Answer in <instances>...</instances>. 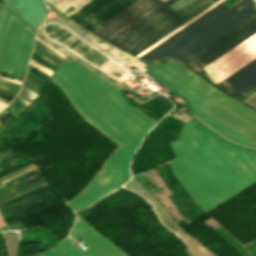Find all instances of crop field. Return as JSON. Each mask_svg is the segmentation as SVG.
<instances>
[{
  "label": "crop field",
  "instance_id": "1",
  "mask_svg": "<svg viewBox=\"0 0 256 256\" xmlns=\"http://www.w3.org/2000/svg\"><path fill=\"white\" fill-rule=\"evenodd\" d=\"M51 81L86 121L119 146L89 184L65 202L74 212H79L130 179L129 161L156 122L127 103L116 87L68 56Z\"/></svg>",
  "mask_w": 256,
  "mask_h": 256
},
{
  "label": "crop field",
  "instance_id": "2",
  "mask_svg": "<svg viewBox=\"0 0 256 256\" xmlns=\"http://www.w3.org/2000/svg\"><path fill=\"white\" fill-rule=\"evenodd\" d=\"M171 169L206 213L256 181V150L230 142L197 120L171 143Z\"/></svg>",
  "mask_w": 256,
  "mask_h": 256
},
{
  "label": "crop field",
  "instance_id": "3",
  "mask_svg": "<svg viewBox=\"0 0 256 256\" xmlns=\"http://www.w3.org/2000/svg\"><path fill=\"white\" fill-rule=\"evenodd\" d=\"M146 67L184 98L190 112L208 126L240 144L256 147L255 111L213 88L171 59L163 66L155 60Z\"/></svg>",
  "mask_w": 256,
  "mask_h": 256
},
{
  "label": "crop field",
  "instance_id": "4",
  "mask_svg": "<svg viewBox=\"0 0 256 256\" xmlns=\"http://www.w3.org/2000/svg\"><path fill=\"white\" fill-rule=\"evenodd\" d=\"M255 12L252 0H243L229 10L219 4L139 58L172 55L183 61Z\"/></svg>",
  "mask_w": 256,
  "mask_h": 256
},
{
  "label": "crop field",
  "instance_id": "5",
  "mask_svg": "<svg viewBox=\"0 0 256 256\" xmlns=\"http://www.w3.org/2000/svg\"><path fill=\"white\" fill-rule=\"evenodd\" d=\"M34 28V27H33ZM27 22L0 5V72L20 80L36 32Z\"/></svg>",
  "mask_w": 256,
  "mask_h": 256
},
{
  "label": "crop field",
  "instance_id": "6",
  "mask_svg": "<svg viewBox=\"0 0 256 256\" xmlns=\"http://www.w3.org/2000/svg\"><path fill=\"white\" fill-rule=\"evenodd\" d=\"M185 22L164 4L108 42L136 56Z\"/></svg>",
  "mask_w": 256,
  "mask_h": 256
},
{
  "label": "crop field",
  "instance_id": "7",
  "mask_svg": "<svg viewBox=\"0 0 256 256\" xmlns=\"http://www.w3.org/2000/svg\"><path fill=\"white\" fill-rule=\"evenodd\" d=\"M75 240L88 246V250L73 245L68 236L59 241L51 250L38 253L39 256H127L125 252L98 233L79 218L70 234Z\"/></svg>",
  "mask_w": 256,
  "mask_h": 256
},
{
  "label": "crop field",
  "instance_id": "8",
  "mask_svg": "<svg viewBox=\"0 0 256 256\" xmlns=\"http://www.w3.org/2000/svg\"><path fill=\"white\" fill-rule=\"evenodd\" d=\"M254 58H256V33L203 69L217 84Z\"/></svg>",
  "mask_w": 256,
  "mask_h": 256
},
{
  "label": "crop field",
  "instance_id": "9",
  "mask_svg": "<svg viewBox=\"0 0 256 256\" xmlns=\"http://www.w3.org/2000/svg\"><path fill=\"white\" fill-rule=\"evenodd\" d=\"M137 1L93 0L69 17L92 32Z\"/></svg>",
  "mask_w": 256,
  "mask_h": 256
},
{
  "label": "crop field",
  "instance_id": "10",
  "mask_svg": "<svg viewBox=\"0 0 256 256\" xmlns=\"http://www.w3.org/2000/svg\"><path fill=\"white\" fill-rule=\"evenodd\" d=\"M162 4L160 0H140L92 33L108 41Z\"/></svg>",
  "mask_w": 256,
  "mask_h": 256
},
{
  "label": "crop field",
  "instance_id": "11",
  "mask_svg": "<svg viewBox=\"0 0 256 256\" xmlns=\"http://www.w3.org/2000/svg\"><path fill=\"white\" fill-rule=\"evenodd\" d=\"M256 32V17L223 38L221 41L189 61V66L193 68L205 67L234 46L251 36Z\"/></svg>",
  "mask_w": 256,
  "mask_h": 256
},
{
  "label": "crop field",
  "instance_id": "12",
  "mask_svg": "<svg viewBox=\"0 0 256 256\" xmlns=\"http://www.w3.org/2000/svg\"><path fill=\"white\" fill-rule=\"evenodd\" d=\"M256 80V59L249 64L220 82L218 85H224L231 94H236Z\"/></svg>",
  "mask_w": 256,
  "mask_h": 256
},
{
  "label": "crop field",
  "instance_id": "13",
  "mask_svg": "<svg viewBox=\"0 0 256 256\" xmlns=\"http://www.w3.org/2000/svg\"><path fill=\"white\" fill-rule=\"evenodd\" d=\"M217 1L219 0H193L176 12L189 21Z\"/></svg>",
  "mask_w": 256,
  "mask_h": 256
},
{
  "label": "crop field",
  "instance_id": "14",
  "mask_svg": "<svg viewBox=\"0 0 256 256\" xmlns=\"http://www.w3.org/2000/svg\"><path fill=\"white\" fill-rule=\"evenodd\" d=\"M182 239L197 256H216L183 228L174 232Z\"/></svg>",
  "mask_w": 256,
  "mask_h": 256
},
{
  "label": "crop field",
  "instance_id": "15",
  "mask_svg": "<svg viewBox=\"0 0 256 256\" xmlns=\"http://www.w3.org/2000/svg\"><path fill=\"white\" fill-rule=\"evenodd\" d=\"M53 4L55 7H57L59 10L64 12L71 4H74L77 6V9L71 12H68L66 15H71L75 11H77L79 8L90 2L91 0H46Z\"/></svg>",
  "mask_w": 256,
  "mask_h": 256
},
{
  "label": "crop field",
  "instance_id": "16",
  "mask_svg": "<svg viewBox=\"0 0 256 256\" xmlns=\"http://www.w3.org/2000/svg\"><path fill=\"white\" fill-rule=\"evenodd\" d=\"M256 16V13L254 15H252L251 17H249L248 19H246L245 21H243L242 23H240L239 25H237L236 27H234L233 29H231L230 31H228L227 33H225L224 35H222L221 37H219L218 39H216L215 41H213L212 43H210L209 45H207L206 47H204L203 49H201L200 51H198L197 53H195L194 55H192L191 57H189L188 59H186L183 62H188L189 60H191L192 58H194L195 56H197L198 54H200L201 52H203L204 50H206L207 48H209L210 46H212L213 44H215L216 42H218L219 40H221L223 37H225L226 35H228L229 33H231L232 31H234L235 29H237L238 27H240L241 25H243L244 23H246L247 21H249L250 19H252L253 17Z\"/></svg>",
  "mask_w": 256,
  "mask_h": 256
},
{
  "label": "crop field",
  "instance_id": "17",
  "mask_svg": "<svg viewBox=\"0 0 256 256\" xmlns=\"http://www.w3.org/2000/svg\"><path fill=\"white\" fill-rule=\"evenodd\" d=\"M0 84L4 85V86H0L1 89L7 90V91H10L13 93H17L18 88L20 86L18 84L11 83V82L3 80L1 78H0Z\"/></svg>",
  "mask_w": 256,
  "mask_h": 256
},
{
  "label": "crop field",
  "instance_id": "18",
  "mask_svg": "<svg viewBox=\"0 0 256 256\" xmlns=\"http://www.w3.org/2000/svg\"><path fill=\"white\" fill-rule=\"evenodd\" d=\"M223 0H220L219 2H217L216 4H214L213 6H211L210 8H208L207 10H205L203 13H201L200 15H198L197 17H195L194 19H192L191 21L187 22L186 24H184L183 26H181L180 28H178L177 30H175L174 32H172L171 34H169L168 36H166L165 38H163L162 40H160L159 42H157L156 44H154L153 46H151L150 48H148L147 50H145L144 52H142L141 54H139L137 57L141 56L142 54H144L145 52H147L148 50H150L151 48H153L154 46H156L157 44H159L160 42H162L163 40H165L166 38H168L169 36H171L172 34H174L175 32H177L178 30H180L181 28H183L184 26H186L187 24H189L190 22H192L193 20H195L196 18H198L199 16H201L202 14H204L205 12H207L208 10H210L211 8H213L214 6H216L217 4H219L220 2H222Z\"/></svg>",
  "mask_w": 256,
  "mask_h": 256
},
{
  "label": "crop field",
  "instance_id": "19",
  "mask_svg": "<svg viewBox=\"0 0 256 256\" xmlns=\"http://www.w3.org/2000/svg\"><path fill=\"white\" fill-rule=\"evenodd\" d=\"M29 64L33 65L34 67H36L37 69L43 71L44 73L48 74L51 76V74L53 72L49 71L48 69L44 68L43 66H41L40 64L36 63L35 61L33 60H30Z\"/></svg>",
  "mask_w": 256,
  "mask_h": 256
},
{
  "label": "crop field",
  "instance_id": "20",
  "mask_svg": "<svg viewBox=\"0 0 256 256\" xmlns=\"http://www.w3.org/2000/svg\"><path fill=\"white\" fill-rule=\"evenodd\" d=\"M254 87H256V81L254 83H252L251 85H249L248 87H246L245 89H243L242 91H240L239 93H237L236 97H241L242 95H244L245 93H247L248 91H250L251 89H253Z\"/></svg>",
  "mask_w": 256,
  "mask_h": 256
},
{
  "label": "crop field",
  "instance_id": "21",
  "mask_svg": "<svg viewBox=\"0 0 256 256\" xmlns=\"http://www.w3.org/2000/svg\"><path fill=\"white\" fill-rule=\"evenodd\" d=\"M190 1L191 0H179L178 2H176L175 4H173L170 7L173 8L176 11V10H178L179 8H181L182 6H184L185 4H187Z\"/></svg>",
  "mask_w": 256,
  "mask_h": 256
},
{
  "label": "crop field",
  "instance_id": "22",
  "mask_svg": "<svg viewBox=\"0 0 256 256\" xmlns=\"http://www.w3.org/2000/svg\"><path fill=\"white\" fill-rule=\"evenodd\" d=\"M244 102L256 107V93L251 97H249L248 99H246Z\"/></svg>",
  "mask_w": 256,
  "mask_h": 256
},
{
  "label": "crop field",
  "instance_id": "23",
  "mask_svg": "<svg viewBox=\"0 0 256 256\" xmlns=\"http://www.w3.org/2000/svg\"><path fill=\"white\" fill-rule=\"evenodd\" d=\"M32 169H34V166H32V167H30V168H28V169H25V170H23V171H21V172H19V173L23 174V173H25V172H27V171H30V170H32ZM19 173H16V174H14V175H12V176H10V177H8V178L2 180V181L6 182V181H8V180H10V179H12V178H14V177L20 175Z\"/></svg>",
  "mask_w": 256,
  "mask_h": 256
},
{
  "label": "crop field",
  "instance_id": "24",
  "mask_svg": "<svg viewBox=\"0 0 256 256\" xmlns=\"http://www.w3.org/2000/svg\"><path fill=\"white\" fill-rule=\"evenodd\" d=\"M36 39L39 40L41 43H43L45 46H47L48 48H50L51 50L55 51L56 53H58L59 55H61L62 57L65 58L64 55H62L60 52H58L56 49H54L52 46H50L48 43H46L45 41H43L42 39H40L39 37L36 36Z\"/></svg>",
  "mask_w": 256,
  "mask_h": 256
},
{
  "label": "crop field",
  "instance_id": "25",
  "mask_svg": "<svg viewBox=\"0 0 256 256\" xmlns=\"http://www.w3.org/2000/svg\"><path fill=\"white\" fill-rule=\"evenodd\" d=\"M256 92V88H254L253 90H251L250 92H248L247 94H245L244 96H242L241 99L242 101L245 100L246 98H248L249 96H251L252 94H254Z\"/></svg>",
  "mask_w": 256,
  "mask_h": 256
},
{
  "label": "crop field",
  "instance_id": "26",
  "mask_svg": "<svg viewBox=\"0 0 256 256\" xmlns=\"http://www.w3.org/2000/svg\"><path fill=\"white\" fill-rule=\"evenodd\" d=\"M32 165H34V163H32V164H30V165H28V166H25V167H23V168H21V169H19V170H16V171H14V172H12V173H10V174H8V175H6V176L0 178V180L3 179V178H5V177H7V176H10V175H12V174L18 172V171H21V170H23V169H25V168H27V167H30V166H32Z\"/></svg>",
  "mask_w": 256,
  "mask_h": 256
},
{
  "label": "crop field",
  "instance_id": "27",
  "mask_svg": "<svg viewBox=\"0 0 256 256\" xmlns=\"http://www.w3.org/2000/svg\"><path fill=\"white\" fill-rule=\"evenodd\" d=\"M0 98H3V99L8 100V101H10L12 99V97L6 96V95L1 94V93H0Z\"/></svg>",
  "mask_w": 256,
  "mask_h": 256
},
{
  "label": "crop field",
  "instance_id": "28",
  "mask_svg": "<svg viewBox=\"0 0 256 256\" xmlns=\"http://www.w3.org/2000/svg\"><path fill=\"white\" fill-rule=\"evenodd\" d=\"M0 77H1V78H4V79H7V80H9V81H12V82L18 83V84H20V83H21V82H19V81H17V80L8 79V78H6V77H4V76H2V75H0Z\"/></svg>",
  "mask_w": 256,
  "mask_h": 256
},
{
  "label": "crop field",
  "instance_id": "29",
  "mask_svg": "<svg viewBox=\"0 0 256 256\" xmlns=\"http://www.w3.org/2000/svg\"><path fill=\"white\" fill-rule=\"evenodd\" d=\"M176 1H178V0H168V1L165 2V3L170 6V5H172L173 3H175Z\"/></svg>",
  "mask_w": 256,
  "mask_h": 256
},
{
  "label": "crop field",
  "instance_id": "30",
  "mask_svg": "<svg viewBox=\"0 0 256 256\" xmlns=\"http://www.w3.org/2000/svg\"><path fill=\"white\" fill-rule=\"evenodd\" d=\"M2 226H6V225H5L4 221L0 217V227H2Z\"/></svg>",
  "mask_w": 256,
  "mask_h": 256
},
{
  "label": "crop field",
  "instance_id": "31",
  "mask_svg": "<svg viewBox=\"0 0 256 256\" xmlns=\"http://www.w3.org/2000/svg\"><path fill=\"white\" fill-rule=\"evenodd\" d=\"M4 106H6V105L0 103V110H2V108H3Z\"/></svg>",
  "mask_w": 256,
  "mask_h": 256
},
{
  "label": "crop field",
  "instance_id": "32",
  "mask_svg": "<svg viewBox=\"0 0 256 256\" xmlns=\"http://www.w3.org/2000/svg\"><path fill=\"white\" fill-rule=\"evenodd\" d=\"M164 2L167 1V0H163Z\"/></svg>",
  "mask_w": 256,
  "mask_h": 256
},
{
  "label": "crop field",
  "instance_id": "33",
  "mask_svg": "<svg viewBox=\"0 0 256 256\" xmlns=\"http://www.w3.org/2000/svg\"><path fill=\"white\" fill-rule=\"evenodd\" d=\"M256 1V0H255Z\"/></svg>",
  "mask_w": 256,
  "mask_h": 256
}]
</instances>
